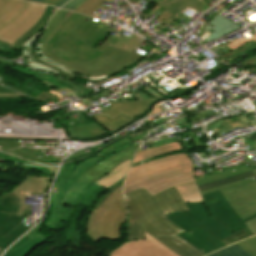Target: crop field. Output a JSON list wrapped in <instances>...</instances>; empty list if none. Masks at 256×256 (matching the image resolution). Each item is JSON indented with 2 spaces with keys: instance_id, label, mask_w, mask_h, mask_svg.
Masks as SVG:
<instances>
[{
  "instance_id": "obj_43",
  "label": "crop field",
  "mask_w": 256,
  "mask_h": 256,
  "mask_svg": "<svg viewBox=\"0 0 256 256\" xmlns=\"http://www.w3.org/2000/svg\"><path fill=\"white\" fill-rule=\"evenodd\" d=\"M119 37H120V36H117V35H116L115 37H113V38L111 39V41H110L106 46H108L109 44L115 46L116 43H117V41H118V39H119ZM106 46H105V47H106ZM105 47H104V48H105ZM104 48H102V49H104ZM102 49H100V51H101Z\"/></svg>"
},
{
  "instance_id": "obj_14",
  "label": "crop field",
  "mask_w": 256,
  "mask_h": 256,
  "mask_svg": "<svg viewBox=\"0 0 256 256\" xmlns=\"http://www.w3.org/2000/svg\"><path fill=\"white\" fill-rule=\"evenodd\" d=\"M156 4L167 10L157 18L158 22L161 24L155 28L159 31L165 28L161 26L165 22L169 24L177 18L180 20L184 18L186 15L182 14L181 12L186 8L190 7L198 11L203 6L194 0H160Z\"/></svg>"
},
{
  "instance_id": "obj_51",
  "label": "crop field",
  "mask_w": 256,
  "mask_h": 256,
  "mask_svg": "<svg viewBox=\"0 0 256 256\" xmlns=\"http://www.w3.org/2000/svg\"><path fill=\"white\" fill-rule=\"evenodd\" d=\"M152 1L157 2L158 0H152Z\"/></svg>"
},
{
  "instance_id": "obj_18",
  "label": "crop field",
  "mask_w": 256,
  "mask_h": 256,
  "mask_svg": "<svg viewBox=\"0 0 256 256\" xmlns=\"http://www.w3.org/2000/svg\"><path fill=\"white\" fill-rule=\"evenodd\" d=\"M57 10V8L48 6L43 15L41 16L40 20L37 22V24L30 29L27 33H25L21 38H19L13 46L6 44L4 42L0 41L1 46H5L8 48H13L20 50V48L23 46L26 40L31 38L34 34L39 33L40 31H43L49 18L52 16V14Z\"/></svg>"
},
{
  "instance_id": "obj_5",
  "label": "crop field",
  "mask_w": 256,
  "mask_h": 256,
  "mask_svg": "<svg viewBox=\"0 0 256 256\" xmlns=\"http://www.w3.org/2000/svg\"><path fill=\"white\" fill-rule=\"evenodd\" d=\"M44 55L72 70L80 75L97 76L102 73L110 77L111 75L123 70L124 68L136 63L143 55L135 54L125 50L111 48L105 54L90 62H77L71 60L69 63L60 61L53 57L43 44Z\"/></svg>"
},
{
  "instance_id": "obj_29",
  "label": "crop field",
  "mask_w": 256,
  "mask_h": 256,
  "mask_svg": "<svg viewBox=\"0 0 256 256\" xmlns=\"http://www.w3.org/2000/svg\"><path fill=\"white\" fill-rule=\"evenodd\" d=\"M104 0H87L75 12L92 15Z\"/></svg>"
},
{
  "instance_id": "obj_7",
  "label": "crop field",
  "mask_w": 256,
  "mask_h": 256,
  "mask_svg": "<svg viewBox=\"0 0 256 256\" xmlns=\"http://www.w3.org/2000/svg\"><path fill=\"white\" fill-rule=\"evenodd\" d=\"M24 196L12 192L0 197V248L14 241L29 228L21 223L23 216H31V207L24 205Z\"/></svg>"
},
{
  "instance_id": "obj_38",
  "label": "crop field",
  "mask_w": 256,
  "mask_h": 256,
  "mask_svg": "<svg viewBox=\"0 0 256 256\" xmlns=\"http://www.w3.org/2000/svg\"><path fill=\"white\" fill-rule=\"evenodd\" d=\"M246 225L249 227L253 235H256V218L246 222Z\"/></svg>"
},
{
  "instance_id": "obj_52",
  "label": "crop field",
  "mask_w": 256,
  "mask_h": 256,
  "mask_svg": "<svg viewBox=\"0 0 256 256\" xmlns=\"http://www.w3.org/2000/svg\"><path fill=\"white\" fill-rule=\"evenodd\" d=\"M103 6H100L99 8H102ZM105 9V7H103Z\"/></svg>"
},
{
  "instance_id": "obj_27",
  "label": "crop field",
  "mask_w": 256,
  "mask_h": 256,
  "mask_svg": "<svg viewBox=\"0 0 256 256\" xmlns=\"http://www.w3.org/2000/svg\"><path fill=\"white\" fill-rule=\"evenodd\" d=\"M253 176H255V175H254L253 171H251V172L240 174V175H237V176H234V177H230V178H227V179L216 181V182H213V183H210V184L199 186L198 188H199L200 191H202V190L213 188V187H216V186H219V185H223V184H226V183L237 181V180H240V179L250 178V177H253Z\"/></svg>"
},
{
  "instance_id": "obj_12",
  "label": "crop field",
  "mask_w": 256,
  "mask_h": 256,
  "mask_svg": "<svg viewBox=\"0 0 256 256\" xmlns=\"http://www.w3.org/2000/svg\"><path fill=\"white\" fill-rule=\"evenodd\" d=\"M147 240L127 242L110 256H179L144 231Z\"/></svg>"
},
{
  "instance_id": "obj_45",
  "label": "crop field",
  "mask_w": 256,
  "mask_h": 256,
  "mask_svg": "<svg viewBox=\"0 0 256 256\" xmlns=\"http://www.w3.org/2000/svg\"><path fill=\"white\" fill-rule=\"evenodd\" d=\"M0 93H16V92L0 86Z\"/></svg>"
},
{
  "instance_id": "obj_28",
  "label": "crop field",
  "mask_w": 256,
  "mask_h": 256,
  "mask_svg": "<svg viewBox=\"0 0 256 256\" xmlns=\"http://www.w3.org/2000/svg\"><path fill=\"white\" fill-rule=\"evenodd\" d=\"M208 256H250L236 244H232Z\"/></svg>"
},
{
  "instance_id": "obj_26",
  "label": "crop field",
  "mask_w": 256,
  "mask_h": 256,
  "mask_svg": "<svg viewBox=\"0 0 256 256\" xmlns=\"http://www.w3.org/2000/svg\"><path fill=\"white\" fill-rule=\"evenodd\" d=\"M177 189L183 201L200 202L203 200L195 183L178 186Z\"/></svg>"
},
{
  "instance_id": "obj_15",
  "label": "crop field",
  "mask_w": 256,
  "mask_h": 256,
  "mask_svg": "<svg viewBox=\"0 0 256 256\" xmlns=\"http://www.w3.org/2000/svg\"><path fill=\"white\" fill-rule=\"evenodd\" d=\"M42 229L40 224L10 248L4 256H28L34 249L42 245L46 240L44 234L36 233Z\"/></svg>"
},
{
  "instance_id": "obj_24",
  "label": "crop field",
  "mask_w": 256,
  "mask_h": 256,
  "mask_svg": "<svg viewBox=\"0 0 256 256\" xmlns=\"http://www.w3.org/2000/svg\"><path fill=\"white\" fill-rule=\"evenodd\" d=\"M182 149L183 148L180 145V143L175 142V143L167 144L164 146L156 147L153 149L145 150L142 152H138L134 158L133 164L139 161H143L147 158H151V157L163 154V153L182 150Z\"/></svg>"
},
{
  "instance_id": "obj_32",
  "label": "crop field",
  "mask_w": 256,
  "mask_h": 256,
  "mask_svg": "<svg viewBox=\"0 0 256 256\" xmlns=\"http://www.w3.org/2000/svg\"><path fill=\"white\" fill-rule=\"evenodd\" d=\"M256 47V42L255 41H251V42H249L246 46H244L243 48H241V49H238V50H235V51H231V52H229V53H227V54H225V55H222V56H220V57H223V56H229L227 59V63H229L231 60H233L234 58H236V57H238V56H240V55H242L243 53H245V52H247V51H249V50H251V49H253V47ZM220 57H218V58H220ZM214 59H216V58H214Z\"/></svg>"
},
{
  "instance_id": "obj_31",
  "label": "crop field",
  "mask_w": 256,
  "mask_h": 256,
  "mask_svg": "<svg viewBox=\"0 0 256 256\" xmlns=\"http://www.w3.org/2000/svg\"><path fill=\"white\" fill-rule=\"evenodd\" d=\"M137 44L138 35L133 33L130 39L121 37L116 47L134 52V48L137 47Z\"/></svg>"
},
{
  "instance_id": "obj_10",
  "label": "crop field",
  "mask_w": 256,
  "mask_h": 256,
  "mask_svg": "<svg viewBox=\"0 0 256 256\" xmlns=\"http://www.w3.org/2000/svg\"><path fill=\"white\" fill-rule=\"evenodd\" d=\"M40 34L31 38L24 45L22 55L28 56V61L31 62V63H29V66H33L35 68H39L41 70L60 74L63 76L71 77L73 79L75 77L85 79V80H101V79L107 78V76H105L104 74L101 76H98V77L80 76V75L74 73L73 71L65 68L64 66L59 65V64L45 58L41 51L42 44L35 43Z\"/></svg>"
},
{
  "instance_id": "obj_50",
  "label": "crop field",
  "mask_w": 256,
  "mask_h": 256,
  "mask_svg": "<svg viewBox=\"0 0 256 256\" xmlns=\"http://www.w3.org/2000/svg\"><path fill=\"white\" fill-rule=\"evenodd\" d=\"M27 1L40 2L42 0H27Z\"/></svg>"
},
{
  "instance_id": "obj_13",
  "label": "crop field",
  "mask_w": 256,
  "mask_h": 256,
  "mask_svg": "<svg viewBox=\"0 0 256 256\" xmlns=\"http://www.w3.org/2000/svg\"><path fill=\"white\" fill-rule=\"evenodd\" d=\"M85 17L68 33L93 47L101 41L109 27L105 24L106 22L91 17L85 19Z\"/></svg>"
},
{
  "instance_id": "obj_35",
  "label": "crop field",
  "mask_w": 256,
  "mask_h": 256,
  "mask_svg": "<svg viewBox=\"0 0 256 256\" xmlns=\"http://www.w3.org/2000/svg\"><path fill=\"white\" fill-rule=\"evenodd\" d=\"M254 37H256V35L250 37V38H247V39H238V40H235L234 42L235 43H232V44H229V45H226L227 47H229L230 49L234 50V49H238V48H241L243 47L244 45H246L249 41H251Z\"/></svg>"
},
{
  "instance_id": "obj_4",
  "label": "crop field",
  "mask_w": 256,
  "mask_h": 256,
  "mask_svg": "<svg viewBox=\"0 0 256 256\" xmlns=\"http://www.w3.org/2000/svg\"><path fill=\"white\" fill-rule=\"evenodd\" d=\"M121 188L122 185L112 192L97 209H93L87 220L86 233L95 242L101 238L117 240L120 237L121 222L127 213Z\"/></svg>"
},
{
  "instance_id": "obj_25",
  "label": "crop field",
  "mask_w": 256,
  "mask_h": 256,
  "mask_svg": "<svg viewBox=\"0 0 256 256\" xmlns=\"http://www.w3.org/2000/svg\"><path fill=\"white\" fill-rule=\"evenodd\" d=\"M234 169L236 171L233 172L232 170H234ZM251 170H253L252 167L245 169L243 165H240V166H236V167L230 168L228 170H225L224 172L216 174V175L196 179V183L199 186V185H203V184H206V183L213 182V181H215V179L220 180V179H223V178H227V177L234 176V175L244 173V172H247V171H251Z\"/></svg>"
},
{
  "instance_id": "obj_54",
  "label": "crop field",
  "mask_w": 256,
  "mask_h": 256,
  "mask_svg": "<svg viewBox=\"0 0 256 256\" xmlns=\"http://www.w3.org/2000/svg\"><path fill=\"white\" fill-rule=\"evenodd\" d=\"M253 40H255V41H256V38H254Z\"/></svg>"
},
{
  "instance_id": "obj_9",
  "label": "crop field",
  "mask_w": 256,
  "mask_h": 256,
  "mask_svg": "<svg viewBox=\"0 0 256 256\" xmlns=\"http://www.w3.org/2000/svg\"><path fill=\"white\" fill-rule=\"evenodd\" d=\"M161 98L163 97L148 101L110 103L113 107L109 108L108 111L93 117V119L108 131L112 132L144 114L151 103Z\"/></svg>"
},
{
  "instance_id": "obj_39",
  "label": "crop field",
  "mask_w": 256,
  "mask_h": 256,
  "mask_svg": "<svg viewBox=\"0 0 256 256\" xmlns=\"http://www.w3.org/2000/svg\"><path fill=\"white\" fill-rule=\"evenodd\" d=\"M124 179H125V178H124ZM124 179L121 180V181H119V182L117 183V185H115V186H113V187L107 189V190H109L110 192L107 193V194L102 198V200H101L94 208H97V207L102 203V201H103L113 190H115L118 186H120V185L123 183Z\"/></svg>"
},
{
  "instance_id": "obj_30",
  "label": "crop field",
  "mask_w": 256,
  "mask_h": 256,
  "mask_svg": "<svg viewBox=\"0 0 256 256\" xmlns=\"http://www.w3.org/2000/svg\"><path fill=\"white\" fill-rule=\"evenodd\" d=\"M146 134L147 133L143 134L142 132H140V133L125 137V138L119 140L118 142L114 143L113 145L109 146L108 148H106V149L102 150L101 152L97 153L96 155L100 156V155H102L106 152H109V151H111V150H113L117 147H120V146H122V145H124V144H126V143H128L132 140H135V139H138V138H144Z\"/></svg>"
},
{
  "instance_id": "obj_20",
  "label": "crop field",
  "mask_w": 256,
  "mask_h": 256,
  "mask_svg": "<svg viewBox=\"0 0 256 256\" xmlns=\"http://www.w3.org/2000/svg\"><path fill=\"white\" fill-rule=\"evenodd\" d=\"M12 70L22 72V73H25L27 75L33 76V77L39 79L40 82L44 83L48 87H50L51 85H53L54 83L59 81V79H57V78H54L52 76H49L47 74L41 73V72L36 71V70L34 72H32L28 69H24V68H20V67H12ZM65 83H67V82H65ZM67 84L75 87V90L78 92L79 96H81V97L94 92V90L91 89V88L78 86V85H74V84H70V83H67Z\"/></svg>"
},
{
  "instance_id": "obj_33",
  "label": "crop field",
  "mask_w": 256,
  "mask_h": 256,
  "mask_svg": "<svg viewBox=\"0 0 256 256\" xmlns=\"http://www.w3.org/2000/svg\"><path fill=\"white\" fill-rule=\"evenodd\" d=\"M236 244L239 245L251 256H256V236Z\"/></svg>"
},
{
  "instance_id": "obj_40",
  "label": "crop field",
  "mask_w": 256,
  "mask_h": 256,
  "mask_svg": "<svg viewBox=\"0 0 256 256\" xmlns=\"http://www.w3.org/2000/svg\"><path fill=\"white\" fill-rule=\"evenodd\" d=\"M162 111H165V109H163L160 104H155L153 106V108L151 109L150 113L147 115H152V114H155V113H159V112H162Z\"/></svg>"
},
{
  "instance_id": "obj_8",
  "label": "crop field",
  "mask_w": 256,
  "mask_h": 256,
  "mask_svg": "<svg viewBox=\"0 0 256 256\" xmlns=\"http://www.w3.org/2000/svg\"><path fill=\"white\" fill-rule=\"evenodd\" d=\"M218 189L242 220L256 213V181L244 183L240 180L200 193L203 195Z\"/></svg>"
},
{
  "instance_id": "obj_19",
  "label": "crop field",
  "mask_w": 256,
  "mask_h": 256,
  "mask_svg": "<svg viewBox=\"0 0 256 256\" xmlns=\"http://www.w3.org/2000/svg\"><path fill=\"white\" fill-rule=\"evenodd\" d=\"M206 27L212 29L213 31L211 35L200 42V44L211 41L223 34L241 28L219 14L215 16Z\"/></svg>"
},
{
  "instance_id": "obj_1",
  "label": "crop field",
  "mask_w": 256,
  "mask_h": 256,
  "mask_svg": "<svg viewBox=\"0 0 256 256\" xmlns=\"http://www.w3.org/2000/svg\"><path fill=\"white\" fill-rule=\"evenodd\" d=\"M202 197L200 203H186L190 211L174 212L165 218L213 251L252 235L244 222L256 215L242 221L220 190Z\"/></svg>"
},
{
  "instance_id": "obj_37",
  "label": "crop field",
  "mask_w": 256,
  "mask_h": 256,
  "mask_svg": "<svg viewBox=\"0 0 256 256\" xmlns=\"http://www.w3.org/2000/svg\"><path fill=\"white\" fill-rule=\"evenodd\" d=\"M85 0H72L68 4H66L64 9L72 10L74 11L77 7H79Z\"/></svg>"
},
{
  "instance_id": "obj_47",
  "label": "crop field",
  "mask_w": 256,
  "mask_h": 256,
  "mask_svg": "<svg viewBox=\"0 0 256 256\" xmlns=\"http://www.w3.org/2000/svg\"><path fill=\"white\" fill-rule=\"evenodd\" d=\"M68 1H69V0H63V1H61L60 3H58V4L54 5V6L60 7V6H62L63 4H65L66 2H68Z\"/></svg>"
},
{
  "instance_id": "obj_44",
  "label": "crop field",
  "mask_w": 256,
  "mask_h": 256,
  "mask_svg": "<svg viewBox=\"0 0 256 256\" xmlns=\"http://www.w3.org/2000/svg\"><path fill=\"white\" fill-rule=\"evenodd\" d=\"M19 96H23L19 93L16 94H0V97H19Z\"/></svg>"
},
{
  "instance_id": "obj_16",
  "label": "crop field",
  "mask_w": 256,
  "mask_h": 256,
  "mask_svg": "<svg viewBox=\"0 0 256 256\" xmlns=\"http://www.w3.org/2000/svg\"><path fill=\"white\" fill-rule=\"evenodd\" d=\"M14 167L26 170H36L42 174L48 175L46 178L27 176V180L14 189L21 188L24 190L31 191V195L43 193L48 189L52 173L46 167H35L20 164H15Z\"/></svg>"
},
{
  "instance_id": "obj_2",
  "label": "crop field",
  "mask_w": 256,
  "mask_h": 256,
  "mask_svg": "<svg viewBox=\"0 0 256 256\" xmlns=\"http://www.w3.org/2000/svg\"><path fill=\"white\" fill-rule=\"evenodd\" d=\"M129 210V230L127 241L146 239L147 231L180 256H205L176 234L183 232L163 216L173 212L188 210L176 187L151 196L143 189L127 195ZM126 241V242H127Z\"/></svg>"
},
{
  "instance_id": "obj_6",
  "label": "crop field",
  "mask_w": 256,
  "mask_h": 256,
  "mask_svg": "<svg viewBox=\"0 0 256 256\" xmlns=\"http://www.w3.org/2000/svg\"><path fill=\"white\" fill-rule=\"evenodd\" d=\"M83 17L84 15L73 13L63 25L64 28L59 29L46 44L52 55L68 62L70 59L77 61H89L106 52L110 48V46H108L103 51H98L110 41L113 37L112 34L95 50L67 33Z\"/></svg>"
},
{
  "instance_id": "obj_34",
  "label": "crop field",
  "mask_w": 256,
  "mask_h": 256,
  "mask_svg": "<svg viewBox=\"0 0 256 256\" xmlns=\"http://www.w3.org/2000/svg\"><path fill=\"white\" fill-rule=\"evenodd\" d=\"M178 236H180L181 238H183L185 241H187L188 243H190L191 245H193L195 248H197L198 250L201 251V249H203L204 254L208 255L209 253L213 252L211 250H209L208 248L204 247L203 245H201L199 242H197L195 239H193L191 236H189L187 233L183 232L178 234Z\"/></svg>"
},
{
  "instance_id": "obj_41",
  "label": "crop field",
  "mask_w": 256,
  "mask_h": 256,
  "mask_svg": "<svg viewBox=\"0 0 256 256\" xmlns=\"http://www.w3.org/2000/svg\"><path fill=\"white\" fill-rule=\"evenodd\" d=\"M245 65H256V55L244 61Z\"/></svg>"
},
{
  "instance_id": "obj_21",
  "label": "crop field",
  "mask_w": 256,
  "mask_h": 256,
  "mask_svg": "<svg viewBox=\"0 0 256 256\" xmlns=\"http://www.w3.org/2000/svg\"><path fill=\"white\" fill-rule=\"evenodd\" d=\"M70 138L73 139H84V138H95L107 134L102 128H100L96 123L80 126L66 128Z\"/></svg>"
},
{
  "instance_id": "obj_23",
  "label": "crop field",
  "mask_w": 256,
  "mask_h": 256,
  "mask_svg": "<svg viewBox=\"0 0 256 256\" xmlns=\"http://www.w3.org/2000/svg\"><path fill=\"white\" fill-rule=\"evenodd\" d=\"M71 13L72 12L63 10L57 11L51 19L47 29L42 32L37 42L46 44Z\"/></svg>"
},
{
  "instance_id": "obj_53",
  "label": "crop field",
  "mask_w": 256,
  "mask_h": 256,
  "mask_svg": "<svg viewBox=\"0 0 256 256\" xmlns=\"http://www.w3.org/2000/svg\"><path fill=\"white\" fill-rule=\"evenodd\" d=\"M124 198H125V199H127L128 197H127V196H125ZM125 201H126V200H125Z\"/></svg>"
},
{
  "instance_id": "obj_36",
  "label": "crop field",
  "mask_w": 256,
  "mask_h": 256,
  "mask_svg": "<svg viewBox=\"0 0 256 256\" xmlns=\"http://www.w3.org/2000/svg\"><path fill=\"white\" fill-rule=\"evenodd\" d=\"M23 181H24V179H20V178L0 174V182L19 185Z\"/></svg>"
},
{
  "instance_id": "obj_49",
  "label": "crop field",
  "mask_w": 256,
  "mask_h": 256,
  "mask_svg": "<svg viewBox=\"0 0 256 256\" xmlns=\"http://www.w3.org/2000/svg\"><path fill=\"white\" fill-rule=\"evenodd\" d=\"M47 196V194H45V197ZM46 201V199H45ZM45 201L43 202V212H44V209H45Z\"/></svg>"
},
{
  "instance_id": "obj_11",
  "label": "crop field",
  "mask_w": 256,
  "mask_h": 256,
  "mask_svg": "<svg viewBox=\"0 0 256 256\" xmlns=\"http://www.w3.org/2000/svg\"><path fill=\"white\" fill-rule=\"evenodd\" d=\"M47 5L30 3L11 23L0 29V40L11 45L39 20Z\"/></svg>"
},
{
  "instance_id": "obj_42",
  "label": "crop field",
  "mask_w": 256,
  "mask_h": 256,
  "mask_svg": "<svg viewBox=\"0 0 256 256\" xmlns=\"http://www.w3.org/2000/svg\"><path fill=\"white\" fill-rule=\"evenodd\" d=\"M2 85H5V86L10 87V88H12V89H14V90H16V91H19V92H21V93H24V94H26V95H29V96L34 97L33 95H31V94H29V93H27V92H24V91H22V90H20V89H17V88H15V87L11 86V85H8V84H6V83H4V82H2ZM34 98H35V97H34Z\"/></svg>"
},
{
  "instance_id": "obj_22",
  "label": "crop field",
  "mask_w": 256,
  "mask_h": 256,
  "mask_svg": "<svg viewBox=\"0 0 256 256\" xmlns=\"http://www.w3.org/2000/svg\"><path fill=\"white\" fill-rule=\"evenodd\" d=\"M131 160L132 159L120 164L119 166L111 170L109 173L105 174L103 177L95 181V183H97L98 185L105 189L109 188L116 181H118L120 178L126 175L130 168Z\"/></svg>"
},
{
  "instance_id": "obj_17",
  "label": "crop field",
  "mask_w": 256,
  "mask_h": 256,
  "mask_svg": "<svg viewBox=\"0 0 256 256\" xmlns=\"http://www.w3.org/2000/svg\"><path fill=\"white\" fill-rule=\"evenodd\" d=\"M29 3L21 0H0V28L15 19Z\"/></svg>"
},
{
  "instance_id": "obj_48",
  "label": "crop field",
  "mask_w": 256,
  "mask_h": 256,
  "mask_svg": "<svg viewBox=\"0 0 256 256\" xmlns=\"http://www.w3.org/2000/svg\"><path fill=\"white\" fill-rule=\"evenodd\" d=\"M0 62L3 63V64H10V65H13V63H10V62L5 61V60H2V59H0Z\"/></svg>"
},
{
  "instance_id": "obj_3",
  "label": "crop field",
  "mask_w": 256,
  "mask_h": 256,
  "mask_svg": "<svg viewBox=\"0 0 256 256\" xmlns=\"http://www.w3.org/2000/svg\"><path fill=\"white\" fill-rule=\"evenodd\" d=\"M192 169V162L186 154L164 157L134 167L126 177L124 195L138 188H145L155 195L172 186L193 182Z\"/></svg>"
},
{
  "instance_id": "obj_46",
  "label": "crop field",
  "mask_w": 256,
  "mask_h": 256,
  "mask_svg": "<svg viewBox=\"0 0 256 256\" xmlns=\"http://www.w3.org/2000/svg\"><path fill=\"white\" fill-rule=\"evenodd\" d=\"M60 1H61V0H45V1H43L42 3L54 5V4H56V3L60 2Z\"/></svg>"
}]
</instances>
